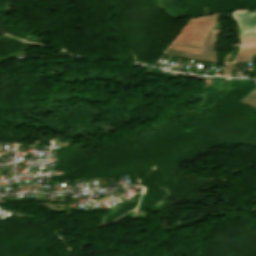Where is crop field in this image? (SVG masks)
Listing matches in <instances>:
<instances>
[{
    "label": "crop field",
    "mask_w": 256,
    "mask_h": 256,
    "mask_svg": "<svg viewBox=\"0 0 256 256\" xmlns=\"http://www.w3.org/2000/svg\"><path fill=\"white\" fill-rule=\"evenodd\" d=\"M215 16L216 14L190 19L172 41L200 47Z\"/></svg>",
    "instance_id": "1"
},
{
    "label": "crop field",
    "mask_w": 256,
    "mask_h": 256,
    "mask_svg": "<svg viewBox=\"0 0 256 256\" xmlns=\"http://www.w3.org/2000/svg\"><path fill=\"white\" fill-rule=\"evenodd\" d=\"M168 47L181 49V50H185V51H190V52H194V53H200V54L203 53L202 49L186 47V46L176 45V44H172V43H170V45Z\"/></svg>",
    "instance_id": "2"
}]
</instances>
